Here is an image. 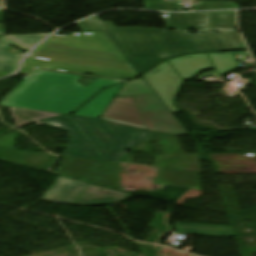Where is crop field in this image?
I'll list each match as a JSON object with an SVG mask.
<instances>
[{
  "label": "crop field",
  "mask_w": 256,
  "mask_h": 256,
  "mask_svg": "<svg viewBox=\"0 0 256 256\" xmlns=\"http://www.w3.org/2000/svg\"><path fill=\"white\" fill-rule=\"evenodd\" d=\"M80 77L36 70L0 105L67 114L81 106L99 90L122 82L98 78L84 88L82 84L75 83Z\"/></svg>",
  "instance_id": "8a807250"
},
{
  "label": "crop field",
  "mask_w": 256,
  "mask_h": 256,
  "mask_svg": "<svg viewBox=\"0 0 256 256\" xmlns=\"http://www.w3.org/2000/svg\"><path fill=\"white\" fill-rule=\"evenodd\" d=\"M41 125L68 132L65 155L117 162L138 140H147L150 131L81 116L42 121ZM125 147L124 150H121Z\"/></svg>",
  "instance_id": "ac0d7876"
},
{
  "label": "crop field",
  "mask_w": 256,
  "mask_h": 256,
  "mask_svg": "<svg viewBox=\"0 0 256 256\" xmlns=\"http://www.w3.org/2000/svg\"><path fill=\"white\" fill-rule=\"evenodd\" d=\"M82 32L104 31L123 56L140 54L188 53L180 31L165 32L149 28H117L97 17L78 24Z\"/></svg>",
  "instance_id": "34b2d1b8"
},
{
  "label": "crop field",
  "mask_w": 256,
  "mask_h": 256,
  "mask_svg": "<svg viewBox=\"0 0 256 256\" xmlns=\"http://www.w3.org/2000/svg\"><path fill=\"white\" fill-rule=\"evenodd\" d=\"M246 57H249V55L228 54L190 57L164 65L145 81L167 108L170 109L175 107L173 101L183 80L193 77L208 68L216 70L217 74L222 76L238 68L235 59L244 60Z\"/></svg>",
  "instance_id": "412701ff"
},
{
  "label": "crop field",
  "mask_w": 256,
  "mask_h": 256,
  "mask_svg": "<svg viewBox=\"0 0 256 256\" xmlns=\"http://www.w3.org/2000/svg\"><path fill=\"white\" fill-rule=\"evenodd\" d=\"M164 21L168 30L173 27L176 30H187L197 28L200 31L206 30H235V11L197 13V14H167Z\"/></svg>",
  "instance_id": "f4fd0767"
},
{
  "label": "crop field",
  "mask_w": 256,
  "mask_h": 256,
  "mask_svg": "<svg viewBox=\"0 0 256 256\" xmlns=\"http://www.w3.org/2000/svg\"><path fill=\"white\" fill-rule=\"evenodd\" d=\"M133 97L149 130L173 135L187 133L156 94Z\"/></svg>",
  "instance_id": "dd49c442"
},
{
  "label": "crop field",
  "mask_w": 256,
  "mask_h": 256,
  "mask_svg": "<svg viewBox=\"0 0 256 256\" xmlns=\"http://www.w3.org/2000/svg\"><path fill=\"white\" fill-rule=\"evenodd\" d=\"M190 52L228 51L246 49L239 34L235 31H211L189 34L181 31Z\"/></svg>",
  "instance_id": "e52e79f7"
},
{
  "label": "crop field",
  "mask_w": 256,
  "mask_h": 256,
  "mask_svg": "<svg viewBox=\"0 0 256 256\" xmlns=\"http://www.w3.org/2000/svg\"><path fill=\"white\" fill-rule=\"evenodd\" d=\"M101 119L148 130L132 97H116Z\"/></svg>",
  "instance_id": "d8731c3e"
},
{
  "label": "crop field",
  "mask_w": 256,
  "mask_h": 256,
  "mask_svg": "<svg viewBox=\"0 0 256 256\" xmlns=\"http://www.w3.org/2000/svg\"><path fill=\"white\" fill-rule=\"evenodd\" d=\"M89 184L59 177L42 199L73 204Z\"/></svg>",
  "instance_id": "5a996713"
},
{
  "label": "crop field",
  "mask_w": 256,
  "mask_h": 256,
  "mask_svg": "<svg viewBox=\"0 0 256 256\" xmlns=\"http://www.w3.org/2000/svg\"><path fill=\"white\" fill-rule=\"evenodd\" d=\"M131 194L90 185L75 201V205H101L127 200Z\"/></svg>",
  "instance_id": "3316defc"
},
{
  "label": "crop field",
  "mask_w": 256,
  "mask_h": 256,
  "mask_svg": "<svg viewBox=\"0 0 256 256\" xmlns=\"http://www.w3.org/2000/svg\"><path fill=\"white\" fill-rule=\"evenodd\" d=\"M124 84H121L114 88L108 89V90L102 92L101 94L97 95L88 104H86L82 109H80L78 112H76L73 115H81V116L100 118V116L103 114V112L109 106V104L113 101V99L117 96L119 91L122 89Z\"/></svg>",
  "instance_id": "28ad6ade"
},
{
  "label": "crop field",
  "mask_w": 256,
  "mask_h": 256,
  "mask_svg": "<svg viewBox=\"0 0 256 256\" xmlns=\"http://www.w3.org/2000/svg\"><path fill=\"white\" fill-rule=\"evenodd\" d=\"M178 234L234 237L231 227L177 223Z\"/></svg>",
  "instance_id": "d1516ede"
},
{
  "label": "crop field",
  "mask_w": 256,
  "mask_h": 256,
  "mask_svg": "<svg viewBox=\"0 0 256 256\" xmlns=\"http://www.w3.org/2000/svg\"><path fill=\"white\" fill-rule=\"evenodd\" d=\"M10 44L17 46L26 51L30 50L23 45L15 42L14 40L4 36L0 41V71L13 72L18 66V62L21 55L17 56L14 54L3 52Z\"/></svg>",
  "instance_id": "22f410ed"
},
{
  "label": "crop field",
  "mask_w": 256,
  "mask_h": 256,
  "mask_svg": "<svg viewBox=\"0 0 256 256\" xmlns=\"http://www.w3.org/2000/svg\"><path fill=\"white\" fill-rule=\"evenodd\" d=\"M174 56H177V55L151 54V55L129 56V57H125V58L140 74V73L154 67L161 60H164V59H167L170 57H174Z\"/></svg>",
  "instance_id": "cbeb9de0"
},
{
  "label": "crop field",
  "mask_w": 256,
  "mask_h": 256,
  "mask_svg": "<svg viewBox=\"0 0 256 256\" xmlns=\"http://www.w3.org/2000/svg\"><path fill=\"white\" fill-rule=\"evenodd\" d=\"M11 111L18 127L32 121L62 115V114L38 112V111L15 109V108H11Z\"/></svg>",
  "instance_id": "5142ce71"
},
{
  "label": "crop field",
  "mask_w": 256,
  "mask_h": 256,
  "mask_svg": "<svg viewBox=\"0 0 256 256\" xmlns=\"http://www.w3.org/2000/svg\"><path fill=\"white\" fill-rule=\"evenodd\" d=\"M154 92V91H153ZM143 78L126 83L118 96H132L153 93Z\"/></svg>",
  "instance_id": "d9b57169"
},
{
  "label": "crop field",
  "mask_w": 256,
  "mask_h": 256,
  "mask_svg": "<svg viewBox=\"0 0 256 256\" xmlns=\"http://www.w3.org/2000/svg\"><path fill=\"white\" fill-rule=\"evenodd\" d=\"M146 8L151 10H180L175 0H145Z\"/></svg>",
  "instance_id": "733c2abd"
},
{
  "label": "crop field",
  "mask_w": 256,
  "mask_h": 256,
  "mask_svg": "<svg viewBox=\"0 0 256 256\" xmlns=\"http://www.w3.org/2000/svg\"><path fill=\"white\" fill-rule=\"evenodd\" d=\"M224 8H239V6L227 1L198 2L197 5L193 6V10Z\"/></svg>",
  "instance_id": "4a817a6b"
},
{
  "label": "crop field",
  "mask_w": 256,
  "mask_h": 256,
  "mask_svg": "<svg viewBox=\"0 0 256 256\" xmlns=\"http://www.w3.org/2000/svg\"><path fill=\"white\" fill-rule=\"evenodd\" d=\"M47 34H39V35H18V36H11L20 42L32 47L35 45L39 40L45 37Z\"/></svg>",
  "instance_id": "bc2a9ffb"
},
{
  "label": "crop field",
  "mask_w": 256,
  "mask_h": 256,
  "mask_svg": "<svg viewBox=\"0 0 256 256\" xmlns=\"http://www.w3.org/2000/svg\"><path fill=\"white\" fill-rule=\"evenodd\" d=\"M227 53H249V52H248V51H241V52H227ZM227 53H214V54H227ZM214 54H188V55H185V56H181V57H178V58H175V59H171V60L162 62V63H160L155 69H153V70L150 71L149 73L143 75V78H144V80H145L150 74H152L153 72L157 71V70L160 69L164 64H166V63H168V62L175 61V60H179V59L186 58V57H190V56L214 55Z\"/></svg>",
  "instance_id": "214f88e0"
},
{
  "label": "crop field",
  "mask_w": 256,
  "mask_h": 256,
  "mask_svg": "<svg viewBox=\"0 0 256 256\" xmlns=\"http://www.w3.org/2000/svg\"><path fill=\"white\" fill-rule=\"evenodd\" d=\"M0 22H4L3 11H0Z\"/></svg>",
  "instance_id": "92a150f3"
},
{
  "label": "crop field",
  "mask_w": 256,
  "mask_h": 256,
  "mask_svg": "<svg viewBox=\"0 0 256 256\" xmlns=\"http://www.w3.org/2000/svg\"><path fill=\"white\" fill-rule=\"evenodd\" d=\"M0 33H4V25L0 24Z\"/></svg>",
  "instance_id": "dafd665d"
},
{
  "label": "crop field",
  "mask_w": 256,
  "mask_h": 256,
  "mask_svg": "<svg viewBox=\"0 0 256 256\" xmlns=\"http://www.w3.org/2000/svg\"><path fill=\"white\" fill-rule=\"evenodd\" d=\"M180 111H181V110H179V109H177V108H175V109H171V110H170V112H171V113H174V112H180Z\"/></svg>",
  "instance_id": "00972430"
},
{
  "label": "crop field",
  "mask_w": 256,
  "mask_h": 256,
  "mask_svg": "<svg viewBox=\"0 0 256 256\" xmlns=\"http://www.w3.org/2000/svg\"><path fill=\"white\" fill-rule=\"evenodd\" d=\"M5 74H8V73L0 72V76L5 75Z\"/></svg>",
  "instance_id": "a9b5d70f"
},
{
  "label": "crop field",
  "mask_w": 256,
  "mask_h": 256,
  "mask_svg": "<svg viewBox=\"0 0 256 256\" xmlns=\"http://www.w3.org/2000/svg\"><path fill=\"white\" fill-rule=\"evenodd\" d=\"M4 35H0V40H1V38L3 37Z\"/></svg>",
  "instance_id": "4177f3b9"
}]
</instances>
